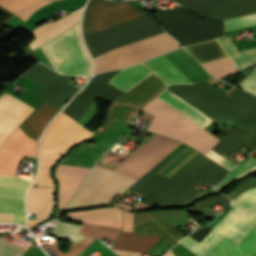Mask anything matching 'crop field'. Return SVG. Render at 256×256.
I'll use <instances>...</instances> for the list:
<instances>
[{
    "instance_id": "crop-field-1",
    "label": "crop field",
    "mask_w": 256,
    "mask_h": 256,
    "mask_svg": "<svg viewBox=\"0 0 256 256\" xmlns=\"http://www.w3.org/2000/svg\"><path fill=\"white\" fill-rule=\"evenodd\" d=\"M131 1L90 0L83 18V36L141 16ZM163 32L149 14L84 37L92 58ZM180 46L165 32L94 58V74L129 67Z\"/></svg>"
},
{
    "instance_id": "crop-field-2",
    "label": "crop field",
    "mask_w": 256,
    "mask_h": 256,
    "mask_svg": "<svg viewBox=\"0 0 256 256\" xmlns=\"http://www.w3.org/2000/svg\"><path fill=\"white\" fill-rule=\"evenodd\" d=\"M206 82L166 89L220 125L232 121L256 135V97L238 89L227 95Z\"/></svg>"
},
{
    "instance_id": "crop-field-3",
    "label": "crop field",
    "mask_w": 256,
    "mask_h": 256,
    "mask_svg": "<svg viewBox=\"0 0 256 256\" xmlns=\"http://www.w3.org/2000/svg\"><path fill=\"white\" fill-rule=\"evenodd\" d=\"M4 147V148H2ZM0 175H15L24 156L36 158L37 142L28 138L18 127L0 148ZM31 181L0 176V186L27 189ZM0 187V212L14 214L12 223L25 225L24 198L27 190Z\"/></svg>"
},
{
    "instance_id": "crop-field-4",
    "label": "crop field",
    "mask_w": 256,
    "mask_h": 256,
    "mask_svg": "<svg viewBox=\"0 0 256 256\" xmlns=\"http://www.w3.org/2000/svg\"><path fill=\"white\" fill-rule=\"evenodd\" d=\"M230 206L233 208L200 244L189 237L179 243L199 256H207L222 237L239 246L256 226V189L244 193Z\"/></svg>"
},
{
    "instance_id": "crop-field-5",
    "label": "crop field",
    "mask_w": 256,
    "mask_h": 256,
    "mask_svg": "<svg viewBox=\"0 0 256 256\" xmlns=\"http://www.w3.org/2000/svg\"><path fill=\"white\" fill-rule=\"evenodd\" d=\"M161 101L155 97L144 107L155 116L147 131L174 138L203 154L220 141Z\"/></svg>"
},
{
    "instance_id": "crop-field-6",
    "label": "crop field",
    "mask_w": 256,
    "mask_h": 256,
    "mask_svg": "<svg viewBox=\"0 0 256 256\" xmlns=\"http://www.w3.org/2000/svg\"><path fill=\"white\" fill-rule=\"evenodd\" d=\"M79 23L41 46L54 70L62 74H91V64L82 45Z\"/></svg>"
},
{
    "instance_id": "crop-field-7",
    "label": "crop field",
    "mask_w": 256,
    "mask_h": 256,
    "mask_svg": "<svg viewBox=\"0 0 256 256\" xmlns=\"http://www.w3.org/2000/svg\"><path fill=\"white\" fill-rule=\"evenodd\" d=\"M157 18L182 45L225 35L223 21L198 18L182 7L170 12H159Z\"/></svg>"
},
{
    "instance_id": "crop-field-8",
    "label": "crop field",
    "mask_w": 256,
    "mask_h": 256,
    "mask_svg": "<svg viewBox=\"0 0 256 256\" xmlns=\"http://www.w3.org/2000/svg\"><path fill=\"white\" fill-rule=\"evenodd\" d=\"M135 181L137 179L94 166L66 208L109 203Z\"/></svg>"
},
{
    "instance_id": "crop-field-9",
    "label": "crop field",
    "mask_w": 256,
    "mask_h": 256,
    "mask_svg": "<svg viewBox=\"0 0 256 256\" xmlns=\"http://www.w3.org/2000/svg\"><path fill=\"white\" fill-rule=\"evenodd\" d=\"M92 135L93 132L88 131L61 112L43 136L39 167H51L54 161L70 146L86 140Z\"/></svg>"
},
{
    "instance_id": "crop-field-10",
    "label": "crop field",
    "mask_w": 256,
    "mask_h": 256,
    "mask_svg": "<svg viewBox=\"0 0 256 256\" xmlns=\"http://www.w3.org/2000/svg\"><path fill=\"white\" fill-rule=\"evenodd\" d=\"M214 163L215 162L211 161L202 154L173 179L169 180L156 173L138 190H136L135 193L149 198L142 200L141 202L152 207L159 205L168 200L171 196L211 167Z\"/></svg>"
},
{
    "instance_id": "crop-field-11",
    "label": "crop field",
    "mask_w": 256,
    "mask_h": 256,
    "mask_svg": "<svg viewBox=\"0 0 256 256\" xmlns=\"http://www.w3.org/2000/svg\"><path fill=\"white\" fill-rule=\"evenodd\" d=\"M179 144L178 141L155 135L114 171L139 179Z\"/></svg>"
},
{
    "instance_id": "crop-field-12",
    "label": "crop field",
    "mask_w": 256,
    "mask_h": 256,
    "mask_svg": "<svg viewBox=\"0 0 256 256\" xmlns=\"http://www.w3.org/2000/svg\"><path fill=\"white\" fill-rule=\"evenodd\" d=\"M120 71H110L94 76L85 90L78 94L63 112L77 122L97 96L109 103L113 102L124 92L108 82Z\"/></svg>"
},
{
    "instance_id": "crop-field-13",
    "label": "crop field",
    "mask_w": 256,
    "mask_h": 256,
    "mask_svg": "<svg viewBox=\"0 0 256 256\" xmlns=\"http://www.w3.org/2000/svg\"><path fill=\"white\" fill-rule=\"evenodd\" d=\"M23 76L42 84L35 95L58 107L77 90L66 83L72 78L71 76L60 75L42 64L35 65Z\"/></svg>"
},
{
    "instance_id": "crop-field-14",
    "label": "crop field",
    "mask_w": 256,
    "mask_h": 256,
    "mask_svg": "<svg viewBox=\"0 0 256 256\" xmlns=\"http://www.w3.org/2000/svg\"><path fill=\"white\" fill-rule=\"evenodd\" d=\"M196 14L226 19L256 12V0H175Z\"/></svg>"
},
{
    "instance_id": "crop-field-15",
    "label": "crop field",
    "mask_w": 256,
    "mask_h": 256,
    "mask_svg": "<svg viewBox=\"0 0 256 256\" xmlns=\"http://www.w3.org/2000/svg\"><path fill=\"white\" fill-rule=\"evenodd\" d=\"M186 210H163V211H146V212H136L134 213V225L138 224L145 220H150L151 222L146 223L136 229L134 232L140 233H150L157 234L164 237L171 244L183 238V235L171 226L164 218L186 213ZM153 221L159 224L165 231H167L173 238H171L164 230H162L158 225Z\"/></svg>"
},
{
    "instance_id": "crop-field-16",
    "label": "crop field",
    "mask_w": 256,
    "mask_h": 256,
    "mask_svg": "<svg viewBox=\"0 0 256 256\" xmlns=\"http://www.w3.org/2000/svg\"><path fill=\"white\" fill-rule=\"evenodd\" d=\"M34 109L5 92L0 95V146Z\"/></svg>"
},
{
    "instance_id": "crop-field-17",
    "label": "crop field",
    "mask_w": 256,
    "mask_h": 256,
    "mask_svg": "<svg viewBox=\"0 0 256 256\" xmlns=\"http://www.w3.org/2000/svg\"><path fill=\"white\" fill-rule=\"evenodd\" d=\"M90 168L59 165L55 175L59 180L58 204L64 208Z\"/></svg>"
},
{
    "instance_id": "crop-field-18",
    "label": "crop field",
    "mask_w": 256,
    "mask_h": 256,
    "mask_svg": "<svg viewBox=\"0 0 256 256\" xmlns=\"http://www.w3.org/2000/svg\"><path fill=\"white\" fill-rule=\"evenodd\" d=\"M68 221L85 222L108 227L121 228L122 211L116 207L76 211L66 213Z\"/></svg>"
},
{
    "instance_id": "crop-field-19",
    "label": "crop field",
    "mask_w": 256,
    "mask_h": 256,
    "mask_svg": "<svg viewBox=\"0 0 256 256\" xmlns=\"http://www.w3.org/2000/svg\"><path fill=\"white\" fill-rule=\"evenodd\" d=\"M164 86L163 81L152 73L115 102L132 104L141 110L148 100L162 91Z\"/></svg>"
},
{
    "instance_id": "crop-field-20",
    "label": "crop field",
    "mask_w": 256,
    "mask_h": 256,
    "mask_svg": "<svg viewBox=\"0 0 256 256\" xmlns=\"http://www.w3.org/2000/svg\"><path fill=\"white\" fill-rule=\"evenodd\" d=\"M228 172V170L216 163L214 166L188 184L185 188L175 194L172 198L166 201L164 205H181L182 203L201 193L195 190V187H197L199 184L204 182L208 185L214 180L220 182L228 174Z\"/></svg>"
},
{
    "instance_id": "crop-field-21",
    "label": "crop field",
    "mask_w": 256,
    "mask_h": 256,
    "mask_svg": "<svg viewBox=\"0 0 256 256\" xmlns=\"http://www.w3.org/2000/svg\"><path fill=\"white\" fill-rule=\"evenodd\" d=\"M81 9L63 17L62 19L48 24H43L37 27L30 34L33 35L36 39H34L30 43L31 49L34 51L47 41L51 40L67 28L71 27L75 23L79 22Z\"/></svg>"
},
{
    "instance_id": "crop-field-22",
    "label": "crop field",
    "mask_w": 256,
    "mask_h": 256,
    "mask_svg": "<svg viewBox=\"0 0 256 256\" xmlns=\"http://www.w3.org/2000/svg\"><path fill=\"white\" fill-rule=\"evenodd\" d=\"M54 188H31L28 194V213H36V220H28V227L47 219L54 207Z\"/></svg>"
},
{
    "instance_id": "crop-field-23",
    "label": "crop field",
    "mask_w": 256,
    "mask_h": 256,
    "mask_svg": "<svg viewBox=\"0 0 256 256\" xmlns=\"http://www.w3.org/2000/svg\"><path fill=\"white\" fill-rule=\"evenodd\" d=\"M164 56L193 84L212 78L197 61L182 48L166 53Z\"/></svg>"
},
{
    "instance_id": "crop-field-24",
    "label": "crop field",
    "mask_w": 256,
    "mask_h": 256,
    "mask_svg": "<svg viewBox=\"0 0 256 256\" xmlns=\"http://www.w3.org/2000/svg\"><path fill=\"white\" fill-rule=\"evenodd\" d=\"M221 141L211 150L224 156L240 147H245L251 151L256 150V138L237 126H233L227 133L219 137Z\"/></svg>"
},
{
    "instance_id": "crop-field-25",
    "label": "crop field",
    "mask_w": 256,
    "mask_h": 256,
    "mask_svg": "<svg viewBox=\"0 0 256 256\" xmlns=\"http://www.w3.org/2000/svg\"><path fill=\"white\" fill-rule=\"evenodd\" d=\"M160 238L161 236L121 232L117 239L154 244ZM119 240L115 241L112 248L145 253L152 246L150 244L134 243V242H127V241H119ZM115 249H112V250H114L115 253L121 256H141L142 255L140 253L127 252V251H121V250H115Z\"/></svg>"
},
{
    "instance_id": "crop-field-26",
    "label": "crop field",
    "mask_w": 256,
    "mask_h": 256,
    "mask_svg": "<svg viewBox=\"0 0 256 256\" xmlns=\"http://www.w3.org/2000/svg\"><path fill=\"white\" fill-rule=\"evenodd\" d=\"M57 109V107L43 100L20 125V128L25 134L37 140L45 124L51 119Z\"/></svg>"
},
{
    "instance_id": "crop-field-27",
    "label": "crop field",
    "mask_w": 256,
    "mask_h": 256,
    "mask_svg": "<svg viewBox=\"0 0 256 256\" xmlns=\"http://www.w3.org/2000/svg\"><path fill=\"white\" fill-rule=\"evenodd\" d=\"M256 255V227L243 243L237 247L225 239H221L218 245L208 256H255Z\"/></svg>"
},
{
    "instance_id": "crop-field-28",
    "label": "crop field",
    "mask_w": 256,
    "mask_h": 256,
    "mask_svg": "<svg viewBox=\"0 0 256 256\" xmlns=\"http://www.w3.org/2000/svg\"><path fill=\"white\" fill-rule=\"evenodd\" d=\"M150 70L163 79L166 86L176 83H190L187 78L177 70L163 55L145 63Z\"/></svg>"
},
{
    "instance_id": "crop-field-29",
    "label": "crop field",
    "mask_w": 256,
    "mask_h": 256,
    "mask_svg": "<svg viewBox=\"0 0 256 256\" xmlns=\"http://www.w3.org/2000/svg\"><path fill=\"white\" fill-rule=\"evenodd\" d=\"M157 97L162 99L164 102L172 106L174 109L185 115L202 128L213 121L166 89Z\"/></svg>"
},
{
    "instance_id": "crop-field-30",
    "label": "crop field",
    "mask_w": 256,
    "mask_h": 256,
    "mask_svg": "<svg viewBox=\"0 0 256 256\" xmlns=\"http://www.w3.org/2000/svg\"><path fill=\"white\" fill-rule=\"evenodd\" d=\"M217 41L240 71L256 65V47L239 51L228 36L217 38Z\"/></svg>"
},
{
    "instance_id": "crop-field-31",
    "label": "crop field",
    "mask_w": 256,
    "mask_h": 256,
    "mask_svg": "<svg viewBox=\"0 0 256 256\" xmlns=\"http://www.w3.org/2000/svg\"><path fill=\"white\" fill-rule=\"evenodd\" d=\"M150 73L152 72L149 71L146 67L138 64L133 67L124 69L109 83L126 92Z\"/></svg>"
},
{
    "instance_id": "crop-field-32",
    "label": "crop field",
    "mask_w": 256,
    "mask_h": 256,
    "mask_svg": "<svg viewBox=\"0 0 256 256\" xmlns=\"http://www.w3.org/2000/svg\"><path fill=\"white\" fill-rule=\"evenodd\" d=\"M184 48L189 53H191L200 63L227 56V54L217 43L216 39Z\"/></svg>"
},
{
    "instance_id": "crop-field-33",
    "label": "crop field",
    "mask_w": 256,
    "mask_h": 256,
    "mask_svg": "<svg viewBox=\"0 0 256 256\" xmlns=\"http://www.w3.org/2000/svg\"><path fill=\"white\" fill-rule=\"evenodd\" d=\"M182 144H183V143H182ZM182 144H181V145H182ZM181 145H180V146H181ZM184 145H185V144H184ZM180 146H179V147H180ZM186 146H187V145H186ZM186 146H185V147H186ZM179 147H177L173 152H175ZM181 147H182V146H181ZM181 147H180V148H181ZM188 147H189V146H188ZM188 147H187V148H188ZM187 148H186V149H187ZM186 149H185V150H186ZM188 149H190V147H189ZM188 149H187V150H188ZM179 150H180V149H179ZM181 150H182V149H181ZM181 150H180V151H181ZM183 150H184V149H183ZM183 150H182V151H183ZM185 150H184V151H185ZM187 150H186V151H187ZM191 150H192V148H191L190 150H188L187 152L185 151L186 153L183 151L185 154L182 155V156L180 155L181 153H180V154L178 153L181 157L177 154L180 158L176 155L179 159H177L176 161L174 160L175 162L173 161L174 163H172L170 166L168 165L169 167L166 168L164 171L162 170L163 172H161L160 174L163 175L167 170H169L176 162H178L183 156H185V155H186L189 151H191ZM171 152H172V151H171ZM173 152H172V153H173ZM183 152H182V153H183ZM172 153H170V154H169L168 156H166L162 161H160V162H159L155 167H153L147 174H149V173H150L152 170H154L158 165H160L164 160H166ZM173 155H174V154H173ZM173 155H172V156H173ZM199 155H201V153H199V152H197V151H195V150L193 149V150H192L191 152H189L184 158H182L178 163H176L169 171H167V172L164 174V176H166V177H168V178H170V179L173 178V177H174L175 175H177L181 170H183L187 165H189L193 160H195ZM176 156H175V157H176ZM175 157H174V158H175ZM177 157H176V158H177ZM174 158H172L171 160H173ZM167 160H168V159H167ZM171 160H170V161H171ZM170 161H169V162H170ZM169 162H168V163H169ZM168 163H167V164H168ZM170 163H171V162H170ZM167 164H165L164 166L162 165V166L165 167ZM162 166H161V167H162ZM163 167H162V168H163ZM162 168H161V169H162ZM161 169H159V170L157 169V170L160 171ZM157 170H156V171H157ZM156 171H155V172H156ZM147 174H146V175H147ZM154 174H155V173H154ZM146 175H144L142 178H144ZM151 176H152V175H151ZM151 176H150V177H151ZM148 177H149V176H148ZM148 177H147V178H148ZM150 177H149V178H150ZM142 178H141V179H142ZM141 179H140V180H141ZM140 180H139V181H140ZM142 181H143V180H142ZM144 182H145V181H144ZM144 182H143V183H144ZM141 183H142V182H141ZM135 184H136V183H135ZM135 184H134V185H135ZM136 186H137V185H136ZM136 186H135V187H136ZM133 187H134V186H133ZM130 188H131V187H130ZM130 188H129V189H130ZM129 189H128V190H129ZM137 189H138V188H137Z\"/></svg>"
},
{
    "instance_id": "crop-field-34",
    "label": "crop field",
    "mask_w": 256,
    "mask_h": 256,
    "mask_svg": "<svg viewBox=\"0 0 256 256\" xmlns=\"http://www.w3.org/2000/svg\"><path fill=\"white\" fill-rule=\"evenodd\" d=\"M49 3L47 0H0L1 6L25 21L34 10Z\"/></svg>"
},
{
    "instance_id": "crop-field-35",
    "label": "crop field",
    "mask_w": 256,
    "mask_h": 256,
    "mask_svg": "<svg viewBox=\"0 0 256 256\" xmlns=\"http://www.w3.org/2000/svg\"><path fill=\"white\" fill-rule=\"evenodd\" d=\"M202 65L208 73L218 78L238 72V69L228 56L218 60L202 63Z\"/></svg>"
},
{
    "instance_id": "crop-field-36",
    "label": "crop field",
    "mask_w": 256,
    "mask_h": 256,
    "mask_svg": "<svg viewBox=\"0 0 256 256\" xmlns=\"http://www.w3.org/2000/svg\"><path fill=\"white\" fill-rule=\"evenodd\" d=\"M120 230L121 229L108 228V227L82 223L78 233L88 235V236H93V237L105 238V239L114 241V239L119 234Z\"/></svg>"
},
{
    "instance_id": "crop-field-37",
    "label": "crop field",
    "mask_w": 256,
    "mask_h": 256,
    "mask_svg": "<svg viewBox=\"0 0 256 256\" xmlns=\"http://www.w3.org/2000/svg\"><path fill=\"white\" fill-rule=\"evenodd\" d=\"M139 110L126 105L113 104L107 122L101 127L100 131H106L114 120L126 122L127 119Z\"/></svg>"
},
{
    "instance_id": "crop-field-38",
    "label": "crop field",
    "mask_w": 256,
    "mask_h": 256,
    "mask_svg": "<svg viewBox=\"0 0 256 256\" xmlns=\"http://www.w3.org/2000/svg\"><path fill=\"white\" fill-rule=\"evenodd\" d=\"M93 241L94 239L85 236L81 241H79L76 245H74L72 248L66 251L63 255L58 249L56 243H51L48 246L56 256H78Z\"/></svg>"
},
{
    "instance_id": "crop-field-39",
    "label": "crop field",
    "mask_w": 256,
    "mask_h": 256,
    "mask_svg": "<svg viewBox=\"0 0 256 256\" xmlns=\"http://www.w3.org/2000/svg\"><path fill=\"white\" fill-rule=\"evenodd\" d=\"M225 31L256 25V14L224 20Z\"/></svg>"
},
{
    "instance_id": "crop-field-40",
    "label": "crop field",
    "mask_w": 256,
    "mask_h": 256,
    "mask_svg": "<svg viewBox=\"0 0 256 256\" xmlns=\"http://www.w3.org/2000/svg\"><path fill=\"white\" fill-rule=\"evenodd\" d=\"M256 168V161L251 157L244 161L242 164L235 167V169L230 173V175L217 186V190L224 185L228 180L247 173Z\"/></svg>"
},
{
    "instance_id": "crop-field-41",
    "label": "crop field",
    "mask_w": 256,
    "mask_h": 256,
    "mask_svg": "<svg viewBox=\"0 0 256 256\" xmlns=\"http://www.w3.org/2000/svg\"><path fill=\"white\" fill-rule=\"evenodd\" d=\"M256 187V177H252L248 180L242 181L238 183V185L232 189L230 192L224 194L227 197H229L231 200H234L236 197H238L241 193Z\"/></svg>"
},
{
    "instance_id": "crop-field-42",
    "label": "crop field",
    "mask_w": 256,
    "mask_h": 256,
    "mask_svg": "<svg viewBox=\"0 0 256 256\" xmlns=\"http://www.w3.org/2000/svg\"><path fill=\"white\" fill-rule=\"evenodd\" d=\"M214 201H216L218 203H221L225 206H227L230 202V200H228L225 197L215 195V196L206 198L203 201L197 202L194 205V207H191L189 209H192V210H195V211H202V210L206 209L209 205H211Z\"/></svg>"
},
{
    "instance_id": "crop-field-43",
    "label": "crop field",
    "mask_w": 256,
    "mask_h": 256,
    "mask_svg": "<svg viewBox=\"0 0 256 256\" xmlns=\"http://www.w3.org/2000/svg\"><path fill=\"white\" fill-rule=\"evenodd\" d=\"M24 250L0 239V256H21Z\"/></svg>"
},
{
    "instance_id": "crop-field-44",
    "label": "crop field",
    "mask_w": 256,
    "mask_h": 256,
    "mask_svg": "<svg viewBox=\"0 0 256 256\" xmlns=\"http://www.w3.org/2000/svg\"><path fill=\"white\" fill-rule=\"evenodd\" d=\"M33 186H54L48 168H39L38 176Z\"/></svg>"
},
{
    "instance_id": "crop-field-45",
    "label": "crop field",
    "mask_w": 256,
    "mask_h": 256,
    "mask_svg": "<svg viewBox=\"0 0 256 256\" xmlns=\"http://www.w3.org/2000/svg\"><path fill=\"white\" fill-rule=\"evenodd\" d=\"M254 70L255 71L243 81L240 87L256 94V67H254Z\"/></svg>"
},
{
    "instance_id": "crop-field-46",
    "label": "crop field",
    "mask_w": 256,
    "mask_h": 256,
    "mask_svg": "<svg viewBox=\"0 0 256 256\" xmlns=\"http://www.w3.org/2000/svg\"><path fill=\"white\" fill-rule=\"evenodd\" d=\"M204 155L208 156L209 158H211L212 160H214L215 162L219 163L220 165L224 166L225 168H227L229 170L235 165L211 150Z\"/></svg>"
},
{
    "instance_id": "crop-field-47",
    "label": "crop field",
    "mask_w": 256,
    "mask_h": 256,
    "mask_svg": "<svg viewBox=\"0 0 256 256\" xmlns=\"http://www.w3.org/2000/svg\"><path fill=\"white\" fill-rule=\"evenodd\" d=\"M124 216V223H123V230L133 232V213H126L123 211Z\"/></svg>"
},
{
    "instance_id": "crop-field-48",
    "label": "crop field",
    "mask_w": 256,
    "mask_h": 256,
    "mask_svg": "<svg viewBox=\"0 0 256 256\" xmlns=\"http://www.w3.org/2000/svg\"><path fill=\"white\" fill-rule=\"evenodd\" d=\"M78 230H79L78 226L69 225V224H65V223H61V222L58 223V225L55 229V231H68V232H75V233H77Z\"/></svg>"
},
{
    "instance_id": "crop-field-49",
    "label": "crop field",
    "mask_w": 256,
    "mask_h": 256,
    "mask_svg": "<svg viewBox=\"0 0 256 256\" xmlns=\"http://www.w3.org/2000/svg\"><path fill=\"white\" fill-rule=\"evenodd\" d=\"M55 234H58L60 236H63L65 238H67V239H70V240H73V241H76V242H78L81 238L84 237L82 235L67 234V233H55Z\"/></svg>"
},
{
    "instance_id": "crop-field-50",
    "label": "crop field",
    "mask_w": 256,
    "mask_h": 256,
    "mask_svg": "<svg viewBox=\"0 0 256 256\" xmlns=\"http://www.w3.org/2000/svg\"><path fill=\"white\" fill-rule=\"evenodd\" d=\"M12 216L13 215H10V214H2V213H0V222L11 223Z\"/></svg>"
},
{
    "instance_id": "crop-field-51",
    "label": "crop field",
    "mask_w": 256,
    "mask_h": 256,
    "mask_svg": "<svg viewBox=\"0 0 256 256\" xmlns=\"http://www.w3.org/2000/svg\"><path fill=\"white\" fill-rule=\"evenodd\" d=\"M251 157H253L254 159H256V151L254 153H252L251 155H249Z\"/></svg>"
},
{
    "instance_id": "crop-field-52",
    "label": "crop field",
    "mask_w": 256,
    "mask_h": 256,
    "mask_svg": "<svg viewBox=\"0 0 256 256\" xmlns=\"http://www.w3.org/2000/svg\"><path fill=\"white\" fill-rule=\"evenodd\" d=\"M164 256H173V254H172V252L170 251V252L166 253Z\"/></svg>"
},
{
    "instance_id": "crop-field-53",
    "label": "crop field",
    "mask_w": 256,
    "mask_h": 256,
    "mask_svg": "<svg viewBox=\"0 0 256 256\" xmlns=\"http://www.w3.org/2000/svg\"><path fill=\"white\" fill-rule=\"evenodd\" d=\"M120 201H113V203H119Z\"/></svg>"
},
{
    "instance_id": "crop-field-54",
    "label": "crop field",
    "mask_w": 256,
    "mask_h": 256,
    "mask_svg": "<svg viewBox=\"0 0 256 256\" xmlns=\"http://www.w3.org/2000/svg\"><path fill=\"white\" fill-rule=\"evenodd\" d=\"M50 1H53V0H50Z\"/></svg>"
}]
</instances>
